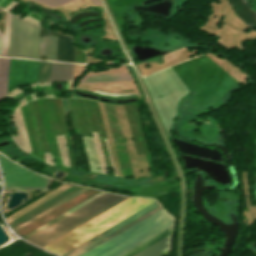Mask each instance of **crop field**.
Masks as SVG:
<instances>
[{"label": "crop field", "instance_id": "1", "mask_svg": "<svg viewBox=\"0 0 256 256\" xmlns=\"http://www.w3.org/2000/svg\"><path fill=\"white\" fill-rule=\"evenodd\" d=\"M11 15L7 14L3 55H7ZM58 34L42 29L12 15L8 57L47 59L56 61ZM2 56V55H0Z\"/></svg>", "mask_w": 256, "mask_h": 256}, {"label": "crop field", "instance_id": "2", "mask_svg": "<svg viewBox=\"0 0 256 256\" xmlns=\"http://www.w3.org/2000/svg\"><path fill=\"white\" fill-rule=\"evenodd\" d=\"M153 202L152 199L129 197L43 248L61 255Z\"/></svg>", "mask_w": 256, "mask_h": 256}, {"label": "crop field", "instance_id": "3", "mask_svg": "<svg viewBox=\"0 0 256 256\" xmlns=\"http://www.w3.org/2000/svg\"><path fill=\"white\" fill-rule=\"evenodd\" d=\"M173 225L162 209L82 256H121Z\"/></svg>", "mask_w": 256, "mask_h": 256}, {"label": "crop field", "instance_id": "4", "mask_svg": "<svg viewBox=\"0 0 256 256\" xmlns=\"http://www.w3.org/2000/svg\"><path fill=\"white\" fill-rule=\"evenodd\" d=\"M125 198L106 193L26 240L42 247Z\"/></svg>", "mask_w": 256, "mask_h": 256}, {"label": "crop field", "instance_id": "5", "mask_svg": "<svg viewBox=\"0 0 256 256\" xmlns=\"http://www.w3.org/2000/svg\"><path fill=\"white\" fill-rule=\"evenodd\" d=\"M0 165L4 173L5 189L10 190H48L52 179L42 177L0 154Z\"/></svg>", "mask_w": 256, "mask_h": 256}, {"label": "crop field", "instance_id": "6", "mask_svg": "<svg viewBox=\"0 0 256 256\" xmlns=\"http://www.w3.org/2000/svg\"><path fill=\"white\" fill-rule=\"evenodd\" d=\"M156 206H158L156 202L153 203V204H151V205H149L148 207H146V208L142 209L141 211L135 213L134 215H132V216L126 218L125 220L119 222L118 224L112 226L111 228L105 230L104 232L98 234L97 236L91 238L90 240H88V241L82 243L81 245L75 247L74 249L68 251L67 253H65V254H63V255H61V256H71V255H73L74 253L80 251L81 249L85 248L86 246L92 244L93 242L99 240L100 238L106 236L107 234L113 232L114 230H116V229H118L119 227L125 225L126 223L132 221L133 219L139 217L140 215L144 214L145 212L151 210L152 208H154V207H156Z\"/></svg>", "mask_w": 256, "mask_h": 256}, {"label": "crop field", "instance_id": "7", "mask_svg": "<svg viewBox=\"0 0 256 256\" xmlns=\"http://www.w3.org/2000/svg\"><path fill=\"white\" fill-rule=\"evenodd\" d=\"M74 50L71 38L59 34L57 61L73 62Z\"/></svg>", "mask_w": 256, "mask_h": 256}, {"label": "crop field", "instance_id": "8", "mask_svg": "<svg viewBox=\"0 0 256 256\" xmlns=\"http://www.w3.org/2000/svg\"><path fill=\"white\" fill-rule=\"evenodd\" d=\"M171 235L146 248L134 256H166L170 251Z\"/></svg>", "mask_w": 256, "mask_h": 256}, {"label": "crop field", "instance_id": "9", "mask_svg": "<svg viewBox=\"0 0 256 256\" xmlns=\"http://www.w3.org/2000/svg\"><path fill=\"white\" fill-rule=\"evenodd\" d=\"M132 80L129 73L85 75L79 83Z\"/></svg>", "mask_w": 256, "mask_h": 256}, {"label": "crop field", "instance_id": "10", "mask_svg": "<svg viewBox=\"0 0 256 256\" xmlns=\"http://www.w3.org/2000/svg\"><path fill=\"white\" fill-rule=\"evenodd\" d=\"M73 64L52 62L51 81L72 79Z\"/></svg>", "mask_w": 256, "mask_h": 256}, {"label": "crop field", "instance_id": "11", "mask_svg": "<svg viewBox=\"0 0 256 256\" xmlns=\"http://www.w3.org/2000/svg\"><path fill=\"white\" fill-rule=\"evenodd\" d=\"M68 187H70V185L64 184V185L60 186L59 188L55 189L54 191L43 196L42 198L38 199L37 201L31 203L30 205L26 206L25 208L21 209L20 211L16 212L15 214L6 218L8 223L13 221L14 219L18 218L19 216L25 214L26 212L30 211L31 209L35 208L36 206L40 205L41 203L45 202L46 200L50 199L51 197L62 192L63 190L67 189Z\"/></svg>", "mask_w": 256, "mask_h": 256}, {"label": "crop field", "instance_id": "12", "mask_svg": "<svg viewBox=\"0 0 256 256\" xmlns=\"http://www.w3.org/2000/svg\"><path fill=\"white\" fill-rule=\"evenodd\" d=\"M159 209H161V208H160V207H157V208L153 209L152 211H150V212L146 213L145 215L141 216L140 218L134 220L133 222H131V223L127 224L126 226L120 228L119 230L115 231L114 233L108 235L107 237H105V238L101 239L100 241L94 243L93 245L87 247L86 249L82 250L81 252L75 254L74 256H80V255L84 254L85 252H87V251H89L90 249L96 247L97 245H99V244H101L102 242L108 240L109 238H111V237H113L114 235L120 233L121 231H123V230H125L126 228L132 226L133 224H135V223H137L138 221L144 219L145 217L149 216L150 214L156 212V211L159 210Z\"/></svg>", "mask_w": 256, "mask_h": 256}, {"label": "crop field", "instance_id": "13", "mask_svg": "<svg viewBox=\"0 0 256 256\" xmlns=\"http://www.w3.org/2000/svg\"><path fill=\"white\" fill-rule=\"evenodd\" d=\"M9 59L0 58V99L6 95Z\"/></svg>", "mask_w": 256, "mask_h": 256}, {"label": "crop field", "instance_id": "14", "mask_svg": "<svg viewBox=\"0 0 256 256\" xmlns=\"http://www.w3.org/2000/svg\"><path fill=\"white\" fill-rule=\"evenodd\" d=\"M173 229H174V227L168 229L167 231L161 233L160 235L154 237L153 239L147 241L146 243L140 245L139 247L135 248L134 250L128 252L127 254H125V255H123V256H132V255H134L135 253H137V252L143 250L144 248L150 246L151 244L157 242L158 240L164 238L165 236H167V235L173 233Z\"/></svg>", "mask_w": 256, "mask_h": 256}, {"label": "crop field", "instance_id": "15", "mask_svg": "<svg viewBox=\"0 0 256 256\" xmlns=\"http://www.w3.org/2000/svg\"><path fill=\"white\" fill-rule=\"evenodd\" d=\"M51 62L40 61L38 82L50 81Z\"/></svg>", "mask_w": 256, "mask_h": 256}, {"label": "crop field", "instance_id": "16", "mask_svg": "<svg viewBox=\"0 0 256 256\" xmlns=\"http://www.w3.org/2000/svg\"><path fill=\"white\" fill-rule=\"evenodd\" d=\"M84 190H86V188H83V189H81V190L77 191L76 193L72 194L71 196H69V197L65 198L64 200H62V201L58 202L57 204H55V205L51 206L50 208H48V209H46L45 211H43V212L39 213L38 215H36V216L32 217L31 219H29V220L25 221L24 223L20 224L19 226H17V227H15V228H13V230L15 231V230H17V229L21 228L22 226H24V225H26L27 223H29V222L33 221L34 219L38 218L39 216H41V215L45 214L46 212H48V211L52 210L53 208H55V207H57L58 205H60V204L64 203L65 201H67V200H69L70 198H72V197L76 196L77 194L81 193V192H82V191H84Z\"/></svg>", "mask_w": 256, "mask_h": 256}, {"label": "crop field", "instance_id": "17", "mask_svg": "<svg viewBox=\"0 0 256 256\" xmlns=\"http://www.w3.org/2000/svg\"><path fill=\"white\" fill-rule=\"evenodd\" d=\"M37 1L57 7L73 0H37ZM91 1H93L95 5L101 4L99 0H91Z\"/></svg>", "mask_w": 256, "mask_h": 256}]
</instances>
